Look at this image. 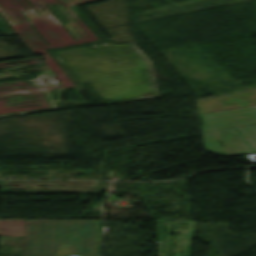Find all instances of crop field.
Here are the masks:
<instances>
[{"mask_svg":"<svg viewBox=\"0 0 256 256\" xmlns=\"http://www.w3.org/2000/svg\"><path fill=\"white\" fill-rule=\"evenodd\" d=\"M94 226L95 221L28 220L21 254L55 256L60 244H75L79 254H92Z\"/></svg>","mask_w":256,"mask_h":256,"instance_id":"obj_1","label":"crop field"},{"mask_svg":"<svg viewBox=\"0 0 256 256\" xmlns=\"http://www.w3.org/2000/svg\"><path fill=\"white\" fill-rule=\"evenodd\" d=\"M110 174L73 170L72 161L0 160V178L110 179Z\"/></svg>","mask_w":256,"mask_h":256,"instance_id":"obj_2","label":"crop field"},{"mask_svg":"<svg viewBox=\"0 0 256 256\" xmlns=\"http://www.w3.org/2000/svg\"><path fill=\"white\" fill-rule=\"evenodd\" d=\"M203 139L210 152L224 156L256 151V124L206 132ZM217 140L223 143V148Z\"/></svg>","mask_w":256,"mask_h":256,"instance_id":"obj_3","label":"crop field"},{"mask_svg":"<svg viewBox=\"0 0 256 256\" xmlns=\"http://www.w3.org/2000/svg\"><path fill=\"white\" fill-rule=\"evenodd\" d=\"M171 224H174V247L173 256H191L193 233H194V221H156L159 255L160 256H171V235L168 233L172 232ZM176 224H191L184 226H176ZM162 227H165V237H163ZM188 228V229H178ZM181 233L182 235H177Z\"/></svg>","mask_w":256,"mask_h":256,"instance_id":"obj_4","label":"crop field"},{"mask_svg":"<svg viewBox=\"0 0 256 256\" xmlns=\"http://www.w3.org/2000/svg\"><path fill=\"white\" fill-rule=\"evenodd\" d=\"M10 181L22 183H10ZM102 182L85 181H50V180H0L1 192H19V190H6V188H21L26 192L72 191V193H97ZM20 185V186H4ZM45 185L48 187H37ZM51 189V190H36Z\"/></svg>","mask_w":256,"mask_h":256,"instance_id":"obj_5","label":"crop field"},{"mask_svg":"<svg viewBox=\"0 0 256 256\" xmlns=\"http://www.w3.org/2000/svg\"><path fill=\"white\" fill-rule=\"evenodd\" d=\"M203 131L256 122V107L204 115Z\"/></svg>","mask_w":256,"mask_h":256,"instance_id":"obj_6","label":"crop field"},{"mask_svg":"<svg viewBox=\"0 0 256 256\" xmlns=\"http://www.w3.org/2000/svg\"><path fill=\"white\" fill-rule=\"evenodd\" d=\"M25 222L26 220L0 219V255H19ZM6 244L8 248H5Z\"/></svg>","mask_w":256,"mask_h":256,"instance_id":"obj_7","label":"crop field"},{"mask_svg":"<svg viewBox=\"0 0 256 256\" xmlns=\"http://www.w3.org/2000/svg\"><path fill=\"white\" fill-rule=\"evenodd\" d=\"M109 183H110V182H104V183H103V186H102V189H101V192H100V193H106V192H107Z\"/></svg>","mask_w":256,"mask_h":256,"instance_id":"obj_8","label":"crop field"}]
</instances>
